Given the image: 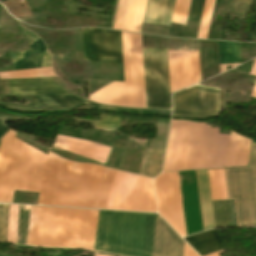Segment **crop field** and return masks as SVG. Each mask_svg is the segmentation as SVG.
Instances as JSON below:
<instances>
[{"mask_svg":"<svg viewBox=\"0 0 256 256\" xmlns=\"http://www.w3.org/2000/svg\"><path fill=\"white\" fill-rule=\"evenodd\" d=\"M175 122L186 123V126L185 124H180V123H176V126H175ZM189 124H190V121L172 120L163 171L181 170L186 141H187V135L189 130ZM174 126H175V132H174ZM184 126H185V132H184ZM173 132H174V139H173ZM183 132H184V137H183ZM182 137H183V143H182ZM172 139H173V146H172V152H171ZM181 143H182V148H181ZM180 148H181V154H180ZM170 152H171V159H170ZM179 154H180V159H179ZM169 159H170V165H169ZM178 159H179V165H178ZM168 165H169V168L177 167L178 165V168L168 169Z\"/></svg>","mask_w":256,"mask_h":256,"instance_id":"16","label":"crop field"},{"mask_svg":"<svg viewBox=\"0 0 256 256\" xmlns=\"http://www.w3.org/2000/svg\"><path fill=\"white\" fill-rule=\"evenodd\" d=\"M184 256H198V255L185 243Z\"/></svg>","mask_w":256,"mask_h":256,"instance_id":"36","label":"crop field"},{"mask_svg":"<svg viewBox=\"0 0 256 256\" xmlns=\"http://www.w3.org/2000/svg\"><path fill=\"white\" fill-rule=\"evenodd\" d=\"M115 171L49 152L37 204L106 209ZM107 209L156 212L152 179L117 170Z\"/></svg>","mask_w":256,"mask_h":256,"instance_id":"2","label":"crop field"},{"mask_svg":"<svg viewBox=\"0 0 256 256\" xmlns=\"http://www.w3.org/2000/svg\"><path fill=\"white\" fill-rule=\"evenodd\" d=\"M120 117L121 116H119V115L103 113L101 121L80 119V118H73V119L74 120H83V121H92L95 129L116 130L119 125Z\"/></svg>","mask_w":256,"mask_h":256,"instance_id":"26","label":"crop field"},{"mask_svg":"<svg viewBox=\"0 0 256 256\" xmlns=\"http://www.w3.org/2000/svg\"><path fill=\"white\" fill-rule=\"evenodd\" d=\"M175 0H147L143 22L170 25Z\"/></svg>","mask_w":256,"mask_h":256,"instance_id":"19","label":"crop field"},{"mask_svg":"<svg viewBox=\"0 0 256 256\" xmlns=\"http://www.w3.org/2000/svg\"><path fill=\"white\" fill-rule=\"evenodd\" d=\"M229 135L191 122L182 170L225 167Z\"/></svg>","mask_w":256,"mask_h":256,"instance_id":"5","label":"crop field"},{"mask_svg":"<svg viewBox=\"0 0 256 256\" xmlns=\"http://www.w3.org/2000/svg\"><path fill=\"white\" fill-rule=\"evenodd\" d=\"M95 256H107V255L96 254Z\"/></svg>","mask_w":256,"mask_h":256,"instance_id":"41","label":"crop field"},{"mask_svg":"<svg viewBox=\"0 0 256 256\" xmlns=\"http://www.w3.org/2000/svg\"><path fill=\"white\" fill-rule=\"evenodd\" d=\"M234 204H235V211H236V217H237V224H238V227H240L237 200L234 201Z\"/></svg>","mask_w":256,"mask_h":256,"instance_id":"38","label":"crop field"},{"mask_svg":"<svg viewBox=\"0 0 256 256\" xmlns=\"http://www.w3.org/2000/svg\"><path fill=\"white\" fill-rule=\"evenodd\" d=\"M98 210L30 206L27 244L95 251ZM155 214L99 210L96 251L151 256Z\"/></svg>","mask_w":256,"mask_h":256,"instance_id":"1","label":"crop field"},{"mask_svg":"<svg viewBox=\"0 0 256 256\" xmlns=\"http://www.w3.org/2000/svg\"><path fill=\"white\" fill-rule=\"evenodd\" d=\"M159 214L181 235L185 225L177 172L163 173L155 180Z\"/></svg>","mask_w":256,"mask_h":256,"instance_id":"9","label":"crop field"},{"mask_svg":"<svg viewBox=\"0 0 256 256\" xmlns=\"http://www.w3.org/2000/svg\"><path fill=\"white\" fill-rule=\"evenodd\" d=\"M220 64L240 63L239 43L218 41Z\"/></svg>","mask_w":256,"mask_h":256,"instance_id":"22","label":"crop field"},{"mask_svg":"<svg viewBox=\"0 0 256 256\" xmlns=\"http://www.w3.org/2000/svg\"><path fill=\"white\" fill-rule=\"evenodd\" d=\"M239 135L232 132L226 167H234Z\"/></svg>","mask_w":256,"mask_h":256,"instance_id":"31","label":"crop field"},{"mask_svg":"<svg viewBox=\"0 0 256 256\" xmlns=\"http://www.w3.org/2000/svg\"><path fill=\"white\" fill-rule=\"evenodd\" d=\"M57 76L51 67L32 70L7 71L0 73V79L22 78V77H44Z\"/></svg>","mask_w":256,"mask_h":256,"instance_id":"23","label":"crop field"},{"mask_svg":"<svg viewBox=\"0 0 256 256\" xmlns=\"http://www.w3.org/2000/svg\"><path fill=\"white\" fill-rule=\"evenodd\" d=\"M184 240L200 255L223 249L214 230L186 237Z\"/></svg>","mask_w":256,"mask_h":256,"instance_id":"20","label":"crop field"},{"mask_svg":"<svg viewBox=\"0 0 256 256\" xmlns=\"http://www.w3.org/2000/svg\"><path fill=\"white\" fill-rule=\"evenodd\" d=\"M190 1L191 0L176 1L172 22L186 25L189 7H190Z\"/></svg>","mask_w":256,"mask_h":256,"instance_id":"29","label":"crop field"},{"mask_svg":"<svg viewBox=\"0 0 256 256\" xmlns=\"http://www.w3.org/2000/svg\"><path fill=\"white\" fill-rule=\"evenodd\" d=\"M85 60L122 63L120 32L82 29Z\"/></svg>","mask_w":256,"mask_h":256,"instance_id":"10","label":"crop field"},{"mask_svg":"<svg viewBox=\"0 0 256 256\" xmlns=\"http://www.w3.org/2000/svg\"><path fill=\"white\" fill-rule=\"evenodd\" d=\"M224 251H225V250L219 251V252H216V253H213V254H209V255H206V256H218L217 254L222 253V252H224Z\"/></svg>","mask_w":256,"mask_h":256,"instance_id":"40","label":"crop field"},{"mask_svg":"<svg viewBox=\"0 0 256 256\" xmlns=\"http://www.w3.org/2000/svg\"><path fill=\"white\" fill-rule=\"evenodd\" d=\"M146 0H133L127 31L139 33Z\"/></svg>","mask_w":256,"mask_h":256,"instance_id":"24","label":"crop field"},{"mask_svg":"<svg viewBox=\"0 0 256 256\" xmlns=\"http://www.w3.org/2000/svg\"><path fill=\"white\" fill-rule=\"evenodd\" d=\"M125 82H113L90 96L112 106L146 108L140 35L121 32Z\"/></svg>","mask_w":256,"mask_h":256,"instance_id":"4","label":"crop field"},{"mask_svg":"<svg viewBox=\"0 0 256 256\" xmlns=\"http://www.w3.org/2000/svg\"><path fill=\"white\" fill-rule=\"evenodd\" d=\"M33 50L10 53L14 65L11 70L31 69L51 66V56L42 41L34 34L18 25Z\"/></svg>","mask_w":256,"mask_h":256,"instance_id":"12","label":"crop field"},{"mask_svg":"<svg viewBox=\"0 0 256 256\" xmlns=\"http://www.w3.org/2000/svg\"><path fill=\"white\" fill-rule=\"evenodd\" d=\"M8 129H6L1 123H0V137L7 131Z\"/></svg>","mask_w":256,"mask_h":256,"instance_id":"39","label":"crop field"},{"mask_svg":"<svg viewBox=\"0 0 256 256\" xmlns=\"http://www.w3.org/2000/svg\"><path fill=\"white\" fill-rule=\"evenodd\" d=\"M229 199H239L242 225L256 224V144L249 168L224 169Z\"/></svg>","mask_w":256,"mask_h":256,"instance_id":"7","label":"crop field"},{"mask_svg":"<svg viewBox=\"0 0 256 256\" xmlns=\"http://www.w3.org/2000/svg\"><path fill=\"white\" fill-rule=\"evenodd\" d=\"M214 0H205L197 38L206 39Z\"/></svg>","mask_w":256,"mask_h":256,"instance_id":"27","label":"crop field"},{"mask_svg":"<svg viewBox=\"0 0 256 256\" xmlns=\"http://www.w3.org/2000/svg\"><path fill=\"white\" fill-rule=\"evenodd\" d=\"M222 200L228 199L223 169L217 170Z\"/></svg>","mask_w":256,"mask_h":256,"instance_id":"35","label":"crop field"},{"mask_svg":"<svg viewBox=\"0 0 256 256\" xmlns=\"http://www.w3.org/2000/svg\"><path fill=\"white\" fill-rule=\"evenodd\" d=\"M15 135L9 130L0 142V202H11L14 190L25 191L36 150ZM46 157L36 150L26 191L39 192Z\"/></svg>","mask_w":256,"mask_h":256,"instance_id":"3","label":"crop field"},{"mask_svg":"<svg viewBox=\"0 0 256 256\" xmlns=\"http://www.w3.org/2000/svg\"><path fill=\"white\" fill-rule=\"evenodd\" d=\"M83 99V98H82ZM79 96L74 94H59V95H41L36 96L35 108H21L16 106H9L1 104L8 109L16 111H31V110H62L70 109L80 105H91Z\"/></svg>","mask_w":256,"mask_h":256,"instance_id":"17","label":"crop field"},{"mask_svg":"<svg viewBox=\"0 0 256 256\" xmlns=\"http://www.w3.org/2000/svg\"><path fill=\"white\" fill-rule=\"evenodd\" d=\"M171 93L201 81L199 51L168 52Z\"/></svg>","mask_w":256,"mask_h":256,"instance_id":"11","label":"crop field"},{"mask_svg":"<svg viewBox=\"0 0 256 256\" xmlns=\"http://www.w3.org/2000/svg\"><path fill=\"white\" fill-rule=\"evenodd\" d=\"M132 0H119L113 29L126 31Z\"/></svg>","mask_w":256,"mask_h":256,"instance_id":"25","label":"crop field"},{"mask_svg":"<svg viewBox=\"0 0 256 256\" xmlns=\"http://www.w3.org/2000/svg\"><path fill=\"white\" fill-rule=\"evenodd\" d=\"M147 108H171L167 49H142Z\"/></svg>","mask_w":256,"mask_h":256,"instance_id":"6","label":"crop field"},{"mask_svg":"<svg viewBox=\"0 0 256 256\" xmlns=\"http://www.w3.org/2000/svg\"><path fill=\"white\" fill-rule=\"evenodd\" d=\"M8 204H0V241H4Z\"/></svg>","mask_w":256,"mask_h":256,"instance_id":"34","label":"crop field"},{"mask_svg":"<svg viewBox=\"0 0 256 256\" xmlns=\"http://www.w3.org/2000/svg\"><path fill=\"white\" fill-rule=\"evenodd\" d=\"M173 115L206 117L220 112L218 90L194 85L173 95Z\"/></svg>","mask_w":256,"mask_h":256,"instance_id":"8","label":"crop field"},{"mask_svg":"<svg viewBox=\"0 0 256 256\" xmlns=\"http://www.w3.org/2000/svg\"><path fill=\"white\" fill-rule=\"evenodd\" d=\"M250 74L256 75V59L254 60L253 67H252V70H251ZM252 96L256 97V84H255Z\"/></svg>","mask_w":256,"mask_h":256,"instance_id":"37","label":"crop field"},{"mask_svg":"<svg viewBox=\"0 0 256 256\" xmlns=\"http://www.w3.org/2000/svg\"><path fill=\"white\" fill-rule=\"evenodd\" d=\"M212 203L216 228L228 227L224 201Z\"/></svg>","mask_w":256,"mask_h":256,"instance_id":"30","label":"crop field"},{"mask_svg":"<svg viewBox=\"0 0 256 256\" xmlns=\"http://www.w3.org/2000/svg\"><path fill=\"white\" fill-rule=\"evenodd\" d=\"M183 246L184 241L156 215L153 256H183Z\"/></svg>","mask_w":256,"mask_h":256,"instance_id":"13","label":"crop field"},{"mask_svg":"<svg viewBox=\"0 0 256 256\" xmlns=\"http://www.w3.org/2000/svg\"><path fill=\"white\" fill-rule=\"evenodd\" d=\"M212 200H221L216 170H208Z\"/></svg>","mask_w":256,"mask_h":256,"instance_id":"32","label":"crop field"},{"mask_svg":"<svg viewBox=\"0 0 256 256\" xmlns=\"http://www.w3.org/2000/svg\"><path fill=\"white\" fill-rule=\"evenodd\" d=\"M251 140L240 135L235 167L247 166Z\"/></svg>","mask_w":256,"mask_h":256,"instance_id":"28","label":"crop field"},{"mask_svg":"<svg viewBox=\"0 0 256 256\" xmlns=\"http://www.w3.org/2000/svg\"><path fill=\"white\" fill-rule=\"evenodd\" d=\"M55 146L92 160L105 163L113 146L58 135Z\"/></svg>","mask_w":256,"mask_h":256,"instance_id":"14","label":"crop field"},{"mask_svg":"<svg viewBox=\"0 0 256 256\" xmlns=\"http://www.w3.org/2000/svg\"><path fill=\"white\" fill-rule=\"evenodd\" d=\"M164 150L145 149L140 174L156 177L162 167Z\"/></svg>","mask_w":256,"mask_h":256,"instance_id":"21","label":"crop field"},{"mask_svg":"<svg viewBox=\"0 0 256 256\" xmlns=\"http://www.w3.org/2000/svg\"><path fill=\"white\" fill-rule=\"evenodd\" d=\"M8 82L11 96L64 93L59 84L51 77L9 79ZM52 83H54V85H52Z\"/></svg>","mask_w":256,"mask_h":256,"instance_id":"15","label":"crop field"},{"mask_svg":"<svg viewBox=\"0 0 256 256\" xmlns=\"http://www.w3.org/2000/svg\"><path fill=\"white\" fill-rule=\"evenodd\" d=\"M204 230L215 228L207 170L196 171Z\"/></svg>","mask_w":256,"mask_h":256,"instance_id":"18","label":"crop field"},{"mask_svg":"<svg viewBox=\"0 0 256 256\" xmlns=\"http://www.w3.org/2000/svg\"><path fill=\"white\" fill-rule=\"evenodd\" d=\"M203 2L204 0H192L188 19L200 21Z\"/></svg>","mask_w":256,"mask_h":256,"instance_id":"33","label":"crop field"}]
</instances>
